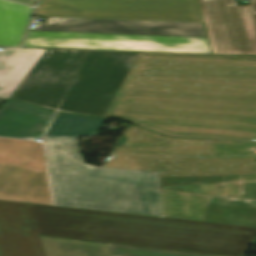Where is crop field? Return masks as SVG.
Returning <instances> with one entry per match:
<instances>
[{"label":"crop field","instance_id":"8a807250","mask_svg":"<svg viewBox=\"0 0 256 256\" xmlns=\"http://www.w3.org/2000/svg\"><path fill=\"white\" fill-rule=\"evenodd\" d=\"M39 234L117 245L243 256L255 227L31 204Z\"/></svg>","mask_w":256,"mask_h":256},{"label":"crop field","instance_id":"ac0d7876","mask_svg":"<svg viewBox=\"0 0 256 256\" xmlns=\"http://www.w3.org/2000/svg\"><path fill=\"white\" fill-rule=\"evenodd\" d=\"M138 54L47 49L9 98L104 117Z\"/></svg>","mask_w":256,"mask_h":256},{"label":"crop field","instance_id":"34b2d1b8","mask_svg":"<svg viewBox=\"0 0 256 256\" xmlns=\"http://www.w3.org/2000/svg\"><path fill=\"white\" fill-rule=\"evenodd\" d=\"M57 206L163 217L158 172L84 164L77 138H46Z\"/></svg>","mask_w":256,"mask_h":256},{"label":"crop field","instance_id":"412701ff","mask_svg":"<svg viewBox=\"0 0 256 256\" xmlns=\"http://www.w3.org/2000/svg\"><path fill=\"white\" fill-rule=\"evenodd\" d=\"M35 15L203 22L197 3L142 0H40Z\"/></svg>","mask_w":256,"mask_h":256},{"label":"crop field","instance_id":"f4fd0767","mask_svg":"<svg viewBox=\"0 0 256 256\" xmlns=\"http://www.w3.org/2000/svg\"><path fill=\"white\" fill-rule=\"evenodd\" d=\"M213 54L256 55V29L249 6L235 0H198Z\"/></svg>","mask_w":256,"mask_h":256},{"label":"crop field","instance_id":"dd49c442","mask_svg":"<svg viewBox=\"0 0 256 256\" xmlns=\"http://www.w3.org/2000/svg\"><path fill=\"white\" fill-rule=\"evenodd\" d=\"M34 30L206 37L203 23L48 17Z\"/></svg>","mask_w":256,"mask_h":256},{"label":"crop field","instance_id":"e52e79f7","mask_svg":"<svg viewBox=\"0 0 256 256\" xmlns=\"http://www.w3.org/2000/svg\"><path fill=\"white\" fill-rule=\"evenodd\" d=\"M30 204L0 201V256H44Z\"/></svg>","mask_w":256,"mask_h":256},{"label":"crop field","instance_id":"d8731c3e","mask_svg":"<svg viewBox=\"0 0 256 256\" xmlns=\"http://www.w3.org/2000/svg\"><path fill=\"white\" fill-rule=\"evenodd\" d=\"M187 43L27 37V47H62L211 54L206 38L186 37Z\"/></svg>","mask_w":256,"mask_h":256},{"label":"crop field","instance_id":"5a996713","mask_svg":"<svg viewBox=\"0 0 256 256\" xmlns=\"http://www.w3.org/2000/svg\"><path fill=\"white\" fill-rule=\"evenodd\" d=\"M0 199L56 206L50 167L37 172L0 163Z\"/></svg>","mask_w":256,"mask_h":256},{"label":"crop field","instance_id":"3316defc","mask_svg":"<svg viewBox=\"0 0 256 256\" xmlns=\"http://www.w3.org/2000/svg\"><path fill=\"white\" fill-rule=\"evenodd\" d=\"M45 256H205L39 236Z\"/></svg>","mask_w":256,"mask_h":256},{"label":"crop field","instance_id":"28ad6ade","mask_svg":"<svg viewBox=\"0 0 256 256\" xmlns=\"http://www.w3.org/2000/svg\"><path fill=\"white\" fill-rule=\"evenodd\" d=\"M54 112L8 100L0 111V136L41 139Z\"/></svg>","mask_w":256,"mask_h":256},{"label":"crop field","instance_id":"d1516ede","mask_svg":"<svg viewBox=\"0 0 256 256\" xmlns=\"http://www.w3.org/2000/svg\"><path fill=\"white\" fill-rule=\"evenodd\" d=\"M45 51L35 48H4L0 51V98L10 96Z\"/></svg>","mask_w":256,"mask_h":256},{"label":"crop field","instance_id":"22f410ed","mask_svg":"<svg viewBox=\"0 0 256 256\" xmlns=\"http://www.w3.org/2000/svg\"><path fill=\"white\" fill-rule=\"evenodd\" d=\"M2 161L37 171L47 166L43 145L33 141L0 138V162Z\"/></svg>","mask_w":256,"mask_h":256},{"label":"crop field","instance_id":"cbeb9de0","mask_svg":"<svg viewBox=\"0 0 256 256\" xmlns=\"http://www.w3.org/2000/svg\"><path fill=\"white\" fill-rule=\"evenodd\" d=\"M31 7L0 0V46H19Z\"/></svg>","mask_w":256,"mask_h":256},{"label":"crop field","instance_id":"5142ce71","mask_svg":"<svg viewBox=\"0 0 256 256\" xmlns=\"http://www.w3.org/2000/svg\"><path fill=\"white\" fill-rule=\"evenodd\" d=\"M105 120L56 113L46 137L97 136Z\"/></svg>","mask_w":256,"mask_h":256},{"label":"crop field","instance_id":"d9b57169","mask_svg":"<svg viewBox=\"0 0 256 256\" xmlns=\"http://www.w3.org/2000/svg\"><path fill=\"white\" fill-rule=\"evenodd\" d=\"M27 36L186 42L185 37L29 31Z\"/></svg>","mask_w":256,"mask_h":256},{"label":"crop field","instance_id":"733c2abd","mask_svg":"<svg viewBox=\"0 0 256 256\" xmlns=\"http://www.w3.org/2000/svg\"><path fill=\"white\" fill-rule=\"evenodd\" d=\"M11 1L19 2V3L31 5V6H33L35 2V0H11Z\"/></svg>","mask_w":256,"mask_h":256},{"label":"crop field","instance_id":"4a817a6b","mask_svg":"<svg viewBox=\"0 0 256 256\" xmlns=\"http://www.w3.org/2000/svg\"><path fill=\"white\" fill-rule=\"evenodd\" d=\"M125 139H126V137L122 135V137L120 138V140L118 141V143L116 144V146L121 145V144L124 142ZM116 146H115V147H116ZM114 149H115V148H114ZM113 151H114V150H113ZM112 153H113V152H112ZM111 157H112V154H111V156L109 157L108 160H110ZM108 160H107V161H108Z\"/></svg>","mask_w":256,"mask_h":256},{"label":"crop field","instance_id":"bc2a9ffb","mask_svg":"<svg viewBox=\"0 0 256 256\" xmlns=\"http://www.w3.org/2000/svg\"><path fill=\"white\" fill-rule=\"evenodd\" d=\"M253 11H256V0H250Z\"/></svg>","mask_w":256,"mask_h":256},{"label":"crop field","instance_id":"214f88e0","mask_svg":"<svg viewBox=\"0 0 256 256\" xmlns=\"http://www.w3.org/2000/svg\"><path fill=\"white\" fill-rule=\"evenodd\" d=\"M164 1H186V2H197V0H164Z\"/></svg>","mask_w":256,"mask_h":256},{"label":"crop field","instance_id":"92a150f3","mask_svg":"<svg viewBox=\"0 0 256 256\" xmlns=\"http://www.w3.org/2000/svg\"><path fill=\"white\" fill-rule=\"evenodd\" d=\"M241 140H254V141H256V139H252V138H242Z\"/></svg>","mask_w":256,"mask_h":256},{"label":"crop field","instance_id":"dafd665d","mask_svg":"<svg viewBox=\"0 0 256 256\" xmlns=\"http://www.w3.org/2000/svg\"><path fill=\"white\" fill-rule=\"evenodd\" d=\"M253 17H254V21H255V25H256V13H253Z\"/></svg>","mask_w":256,"mask_h":256},{"label":"crop field","instance_id":"00972430","mask_svg":"<svg viewBox=\"0 0 256 256\" xmlns=\"http://www.w3.org/2000/svg\"><path fill=\"white\" fill-rule=\"evenodd\" d=\"M4 101H5V100L0 99V106H1V104H2Z\"/></svg>","mask_w":256,"mask_h":256}]
</instances>
